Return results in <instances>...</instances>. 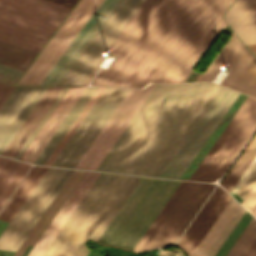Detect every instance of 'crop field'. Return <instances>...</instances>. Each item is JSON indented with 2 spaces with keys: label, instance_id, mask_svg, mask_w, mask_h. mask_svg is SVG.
<instances>
[{
  "label": "crop field",
  "instance_id": "crop-field-31",
  "mask_svg": "<svg viewBox=\"0 0 256 256\" xmlns=\"http://www.w3.org/2000/svg\"><path fill=\"white\" fill-rule=\"evenodd\" d=\"M255 237H256V220L253 218V220L250 222V224L245 229L243 234L240 236L238 241L236 240L237 242L235 243L233 248L231 247L232 249L231 251L229 250L230 252L228 253L227 256H243V254L248 249V247L250 246L252 241L255 239Z\"/></svg>",
  "mask_w": 256,
  "mask_h": 256
},
{
  "label": "crop field",
  "instance_id": "crop-field-8",
  "mask_svg": "<svg viewBox=\"0 0 256 256\" xmlns=\"http://www.w3.org/2000/svg\"><path fill=\"white\" fill-rule=\"evenodd\" d=\"M102 0H79L16 84L39 85Z\"/></svg>",
  "mask_w": 256,
  "mask_h": 256
},
{
  "label": "crop field",
  "instance_id": "crop-field-4",
  "mask_svg": "<svg viewBox=\"0 0 256 256\" xmlns=\"http://www.w3.org/2000/svg\"><path fill=\"white\" fill-rule=\"evenodd\" d=\"M179 183L142 177L97 243L132 251Z\"/></svg>",
  "mask_w": 256,
  "mask_h": 256
},
{
  "label": "crop field",
  "instance_id": "crop-field-27",
  "mask_svg": "<svg viewBox=\"0 0 256 256\" xmlns=\"http://www.w3.org/2000/svg\"><path fill=\"white\" fill-rule=\"evenodd\" d=\"M35 55L36 53L0 42L1 63L25 70Z\"/></svg>",
  "mask_w": 256,
  "mask_h": 256
},
{
  "label": "crop field",
  "instance_id": "crop-field-21",
  "mask_svg": "<svg viewBox=\"0 0 256 256\" xmlns=\"http://www.w3.org/2000/svg\"><path fill=\"white\" fill-rule=\"evenodd\" d=\"M224 19L244 44L256 43V0H235Z\"/></svg>",
  "mask_w": 256,
  "mask_h": 256
},
{
  "label": "crop field",
  "instance_id": "crop-field-36",
  "mask_svg": "<svg viewBox=\"0 0 256 256\" xmlns=\"http://www.w3.org/2000/svg\"><path fill=\"white\" fill-rule=\"evenodd\" d=\"M187 184V182L185 181H181V183L178 185V187L176 188V190L174 191V193L171 195V197L169 198V200L167 201V203L164 205V207L162 208V210L159 212V214L157 215V217L155 218V220L152 222V224L150 225V227L147 229V231L145 232V234L143 235V237L140 239V241L138 242V244L136 245V247L133 249V251L138 252V250L141 248V246L143 245V243L146 241V239L148 238V236L151 234V232L154 230V228L156 227V225L159 223V221L161 220V218L164 216V214L166 213V211L169 209V207L171 206V204L174 202V200L177 198V196L179 195V193L182 191V189L184 188V186Z\"/></svg>",
  "mask_w": 256,
  "mask_h": 256
},
{
  "label": "crop field",
  "instance_id": "crop-field-10",
  "mask_svg": "<svg viewBox=\"0 0 256 256\" xmlns=\"http://www.w3.org/2000/svg\"><path fill=\"white\" fill-rule=\"evenodd\" d=\"M219 88L201 83L137 174L157 176Z\"/></svg>",
  "mask_w": 256,
  "mask_h": 256
},
{
  "label": "crop field",
  "instance_id": "crop-field-37",
  "mask_svg": "<svg viewBox=\"0 0 256 256\" xmlns=\"http://www.w3.org/2000/svg\"><path fill=\"white\" fill-rule=\"evenodd\" d=\"M99 175L98 172H95V174L92 176V178L90 179V181L88 182V184L85 186V188L83 189V191L80 193V195L78 196V198L76 199V201L73 203V205L71 206V208L68 210V212L66 213V215L64 216V218L61 220V222L59 223V225L56 227V229L54 230V232L51 234V236L49 237V239L47 240V242L44 244V246L42 247V249L39 251V253L37 254V256H41L42 253L45 251V249L47 248V246L50 244V242L52 241V239L54 238V236L57 234V232L59 231V229L62 227V225L64 224V222L67 220V218L69 217V215L72 213V211L74 210V208L77 206V204L79 203V201L82 199V197L84 196V194L86 193V191L89 189V187L91 186V184L94 182V180L96 179V177Z\"/></svg>",
  "mask_w": 256,
  "mask_h": 256
},
{
  "label": "crop field",
  "instance_id": "crop-field-33",
  "mask_svg": "<svg viewBox=\"0 0 256 256\" xmlns=\"http://www.w3.org/2000/svg\"><path fill=\"white\" fill-rule=\"evenodd\" d=\"M31 165L21 162L9 181L0 192V209L5 204L9 196L12 194L16 186L19 184L25 173Z\"/></svg>",
  "mask_w": 256,
  "mask_h": 256
},
{
  "label": "crop field",
  "instance_id": "crop-field-15",
  "mask_svg": "<svg viewBox=\"0 0 256 256\" xmlns=\"http://www.w3.org/2000/svg\"><path fill=\"white\" fill-rule=\"evenodd\" d=\"M66 169L48 167L0 236V249L10 250Z\"/></svg>",
  "mask_w": 256,
  "mask_h": 256
},
{
  "label": "crop field",
  "instance_id": "crop-field-23",
  "mask_svg": "<svg viewBox=\"0 0 256 256\" xmlns=\"http://www.w3.org/2000/svg\"><path fill=\"white\" fill-rule=\"evenodd\" d=\"M96 89L97 87H86V89L83 91L79 99L76 101L72 109L69 111L65 119L62 121L34 163L44 164V162L47 160L51 152L54 150L56 145L59 143L63 135L66 133L70 125L73 123L75 118L78 116Z\"/></svg>",
  "mask_w": 256,
  "mask_h": 256
},
{
  "label": "crop field",
  "instance_id": "crop-field-1",
  "mask_svg": "<svg viewBox=\"0 0 256 256\" xmlns=\"http://www.w3.org/2000/svg\"><path fill=\"white\" fill-rule=\"evenodd\" d=\"M173 0H122L58 85H87L108 52L117 57L91 84L110 85ZM193 0H174L110 86L128 87Z\"/></svg>",
  "mask_w": 256,
  "mask_h": 256
},
{
  "label": "crop field",
  "instance_id": "crop-field-9",
  "mask_svg": "<svg viewBox=\"0 0 256 256\" xmlns=\"http://www.w3.org/2000/svg\"><path fill=\"white\" fill-rule=\"evenodd\" d=\"M234 0H210L149 82L172 83Z\"/></svg>",
  "mask_w": 256,
  "mask_h": 256
},
{
  "label": "crop field",
  "instance_id": "crop-field-2",
  "mask_svg": "<svg viewBox=\"0 0 256 256\" xmlns=\"http://www.w3.org/2000/svg\"><path fill=\"white\" fill-rule=\"evenodd\" d=\"M199 85L156 84L96 170L136 174Z\"/></svg>",
  "mask_w": 256,
  "mask_h": 256
},
{
  "label": "crop field",
  "instance_id": "crop-field-13",
  "mask_svg": "<svg viewBox=\"0 0 256 256\" xmlns=\"http://www.w3.org/2000/svg\"><path fill=\"white\" fill-rule=\"evenodd\" d=\"M154 86L130 89L75 168L95 170Z\"/></svg>",
  "mask_w": 256,
  "mask_h": 256
},
{
  "label": "crop field",
  "instance_id": "crop-field-20",
  "mask_svg": "<svg viewBox=\"0 0 256 256\" xmlns=\"http://www.w3.org/2000/svg\"><path fill=\"white\" fill-rule=\"evenodd\" d=\"M237 203L231 198L190 256H213L216 253L245 211Z\"/></svg>",
  "mask_w": 256,
  "mask_h": 256
},
{
  "label": "crop field",
  "instance_id": "crop-field-17",
  "mask_svg": "<svg viewBox=\"0 0 256 256\" xmlns=\"http://www.w3.org/2000/svg\"><path fill=\"white\" fill-rule=\"evenodd\" d=\"M208 1L209 0H194V2L181 17L172 31L168 34L159 48L155 51L129 87H143L149 81Z\"/></svg>",
  "mask_w": 256,
  "mask_h": 256
},
{
  "label": "crop field",
  "instance_id": "crop-field-24",
  "mask_svg": "<svg viewBox=\"0 0 256 256\" xmlns=\"http://www.w3.org/2000/svg\"><path fill=\"white\" fill-rule=\"evenodd\" d=\"M46 169L47 167L32 166L21 184L18 186L14 194L0 212L1 220L10 222Z\"/></svg>",
  "mask_w": 256,
  "mask_h": 256
},
{
  "label": "crop field",
  "instance_id": "crop-field-32",
  "mask_svg": "<svg viewBox=\"0 0 256 256\" xmlns=\"http://www.w3.org/2000/svg\"><path fill=\"white\" fill-rule=\"evenodd\" d=\"M72 173V171L67 170V172L64 174V176L62 177V179L59 181V183L57 184V186L54 188V190L52 191V193L49 195V197L47 198V200L44 202V204L42 205V207L39 209V211L36 213V215L34 216V218L31 220V222L29 223V225L26 227V229L24 230V232L21 234V236L19 237V239L16 241V243L14 244V246L11 248V250H17V248L20 246V244L22 243V241L25 239V237L27 236V234L30 232V230L32 229V227L35 225V223L37 222V220L40 218V216L42 215V213L44 212V210L47 208V206L49 205V203L52 201V199L54 198V196L57 194V192L59 191V189L62 187V185L64 184V182L67 180V178L69 177V175Z\"/></svg>",
  "mask_w": 256,
  "mask_h": 256
},
{
  "label": "crop field",
  "instance_id": "crop-field-43",
  "mask_svg": "<svg viewBox=\"0 0 256 256\" xmlns=\"http://www.w3.org/2000/svg\"><path fill=\"white\" fill-rule=\"evenodd\" d=\"M14 88L15 86H10V85L0 83V107L2 106V104L7 99V97L10 95V93Z\"/></svg>",
  "mask_w": 256,
  "mask_h": 256
},
{
  "label": "crop field",
  "instance_id": "crop-field-28",
  "mask_svg": "<svg viewBox=\"0 0 256 256\" xmlns=\"http://www.w3.org/2000/svg\"><path fill=\"white\" fill-rule=\"evenodd\" d=\"M84 89H85V87H76V89L74 90L72 95L69 97V99L67 100L65 105L62 107V109L60 110V112L58 113L56 118L53 120V122L51 123L49 128L46 130V132L44 133V135L42 136L40 141L37 143V145L31 152V154L26 159L27 162H31V163L33 162V160L36 158L38 153L41 151L43 146L46 144V142L48 141L50 136L53 134L55 129L58 127L60 122L63 120L65 115L68 113V111L73 106V104L75 103V101L77 100V98L80 96V94L82 93V91Z\"/></svg>",
  "mask_w": 256,
  "mask_h": 256
},
{
  "label": "crop field",
  "instance_id": "crop-field-34",
  "mask_svg": "<svg viewBox=\"0 0 256 256\" xmlns=\"http://www.w3.org/2000/svg\"><path fill=\"white\" fill-rule=\"evenodd\" d=\"M104 90V88L102 87H98V89L96 90V92L93 94V96L91 97V99L89 100V102L86 104V106L84 107V109L82 110V112L80 113V115L77 117V119L75 120V122L73 123V125L70 127V129L68 130V132L66 133V135L63 137V139L61 140V142L59 143V145L57 146V148L54 150V152L52 153V155L50 156V158L47 160V162L45 163V165H50V163L53 161V159L55 158V156L58 154V152L60 151V149L63 147V145L66 143V141L68 140V138L71 136V134L73 133V131L76 129V127L78 126V124L81 122V120L83 119V117L86 115V113L88 112V110L91 108V106L94 104V102L96 101V99L99 97V95L101 94V92Z\"/></svg>",
  "mask_w": 256,
  "mask_h": 256
},
{
  "label": "crop field",
  "instance_id": "crop-field-46",
  "mask_svg": "<svg viewBox=\"0 0 256 256\" xmlns=\"http://www.w3.org/2000/svg\"><path fill=\"white\" fill-rule=\"evenodd\" d=\"M52 1H55V2H58V3H62V4H65V5L73 7V5L75 4V2L77 0H52Z\"/></svg>",
  "mask_w": 256,
  "mask_h": 256
},
{
  "label": "crop field",
  "instance_id": "crop-field-11",
  "mask_svg": "<svg viewBox=\"0 0 256 256\" xmlns=\"http://www.w3.org/2000/svg\"><path fill=\"white\" fill-rule=\"evenodd\" d=\"M128 91L105 88L52 165L74 167Z\"/></svg>",
  "mask_w": 256,
  "mask_h": 256
},
{
  "label": "crop field",
  "instance_id": "crop-field-44",
  "mask_svg": "<svg viewBox=\"0 0 256 256\" xmlns=\"http://www.w3.org/2000/svg\"><path fill=\"white\" fill-rule=\"evenodd\" d=\"M256 164V157L253 159V161L251 162V164L248 166V168L246 169V171L243 173V175L241 176V178L239 179V181L236 183V185L234 186V188L231 190V195L233 196V194L236 192V190L238 189V187L241 185V183L243 182V180L246 178V176L248 175V173L251 171V169L253 168V166Z\"/></svg>",
  "mask_w": 256,
  "mask_h": 256
},
{
  "label": "crop field",
  "instance_id": "crop-field-26",
  "mask_svg": "<svg viewBox=\"0 0 256 256\" xmlns=\"http://www.w3.org/2000/svg\"><path fill=\"white\" fill-rule=\"evenodd\" d=\"M255 154H256V135L251 140L249 145L243 151L241 156L238 158L236 163L233 165V167L230 169V171L227 173V175L224 177V179L221 181L220 184L230 192V190L232 189L234 184L237 182V180L239 179V177L241 176L245 168L248 166V164L250 163V161L252 160Z\"/></svg>",
  "mask_w": 256,
  "mask_h": 256
},
{
  "label": "crop field",
  "instance_id": "crop-field-5",
  "mask_svg": "<svg viewBox=\"0 0 256 256\" xmlns=\"http://www.w3.org/2000/svg\"><path fill=\"white\" fill-rule=\"evenodd\" d=\"M70 9L49 0H0V41L38 53Z\"/></svg>",
  "mask_w": 256,
  "mask_h": 256
},
{
  "label": "crop field",
  "instance_id": "crop-field-39",
  "mask_svg": "<svg viewBox=\"0 0 256 256\" xmlns=\"http://www.w3.org/2000/svg\"><path fill=\"white\" fill-rule=\"evenodd\" d=\"M23 70L0 63V81L14 84Z\"/></svg>",
  "mask_w": 256,
  "mask_h": 256
},
{
  "label": "crop field",
  "instance_id": "crop-field-12",
  "mask_svg": "<svg viewBox=\"0 0 256 256\" xmlns=\"http://www.w3.org/2000/svg\"><path fill=\"white\" fill-rule=\"evenodd\" d=\"M213 187L188 182L139 252L173 244Z\"/></svg>",
  "mask_w": 256,
  "mask_h": 256
},
{
  "label": "crop field",
  "instance_id": "crop-field-47",
  "mask_svg": "<svg viewBox=\"0 0 256 256\" xmlns=\"http://www.w3.org/2000/svg\"><path fill=\"white\" fill-rule=\"evenodd\" d=\"M248 48L252 51V53L256 56V45H249Z\"/></svg>",
  "mask_w": 256,
  "mask_h": 256
},
{
  "label": "crop field",
  "instance_id": "crop-field-35",
  "mask_svg": "<svg viewBox=\"0 0 256 256\" xmlns=\"http://www.w3.org/2000/svg\"><path fill=\"white\" fill-rule=\"evenodd\" d=\"M75 89V87H69V89L67 90V92L65 93V95L62 97V99L60 100V102L57 104V106L55 107V109L53 110V112L50 114V116L48 117V119L46 120V122L43 124V126L41 127V129L39 130V132L36 134V136L34 137V139L32 140V142L29 144V146L27 147V149L25 150V152L22 154V156L20 157V160L25 161V159L27 158V156L30 154V152L32 151V149L34 148V146L36 145V143L39 141V139L41 138V136L43 135V133L45 132V130L48 128V126L50 125V123L52 122V120L55 118V116L57 115V113L59 112V110L61 109V107L64 105V103L66 102V100L68 99V97L70 96V94L73 92V90ZM72 95V94H71Z\"/></svg>",
  "mask_w": 256,
  "mask_h": 256
},
{
  "label": "crop field",
  "instance_id": "crop-field-25",
  "mask_svg": "<svg viewBox=\"0 0 256 256\" xmlns=\"http://www.w3.org/2000/svg\"><path fill=\"white\" fill-rule=\"evenodd\" d=\"M93 174H94V172L86 171V173L83 175V177L81 178L79 183L76 185V187L74 188L72 193L69 195V197L67 198L65 203L62 205V207L60 208L58 213L55 215L53 220L50 222V224L48 225L46 230L43 232V234L41 235V237L36 242V244L34 245V247L32 248V250L29 252V254L27 256H36L38 251L41 249L43 244L46 242V240L48 239L50 234L53 232L55 227L58 225V223L60 222L62 217L65 215L67 210L70 208L72 203L75 201V199L77 198V196L82 191V189L87 184V182L89 181V179L91 178V176Z\"/></svg>",
  "mask_w": 256,
  "mask_h": 256
},
{
  "label": "crop field",
  "instance_id": "crop-field-19",
  "mask_svg": "<svg viewBox=\"0 0 256 256\" xmlns=\"http://www.w3.org/2000/svg\"><path fill=\"white\" fill-rule=\"evenodd\" d=\"M230 198L220 186H217L177 243L188 256L192 253Z\"/></svg>",
  "mask_w": 256,
  "mask_h": 256
},
{
  "label": "crop field",
  "instance_id": "crop-field-29",
  "mask_svg": "<svg viewBox=\"0 0 256 256\" xmlns=\"http://www.w3.org/2000/svg\"><path fill=\"white\" fill-rule=\"evenodd\" d=\"M230 88L256 97V59L254 56L245 66L241 74L232 83Z\"/></svg>",
  "mask_w": 256,
  "mask_h": 256
},
{
  "label": "crop field",
  "instance_id": "crop-field-3",
  "mask_svg": "<svg viewBox=\"0 0 256 256\" xmlns=\"http://www.w3.org/2000/svg\"><path fill=\"white\" fill-rule=\"evenodd\" d=\"M140 179L100 173L42 256H86Z\"/></svg>",
  "mask_w": 256,
  "mask_h": 256
},
{
  "label": "crop field",
  "instance_id": "crop-field-42",
  "mask_svg": "<svg viewBox=\"0 0 256 256\" xmlns=\"http://www.w3.org/2000/svg\"><path fill=\"white\" fill-rule=\"evenodd\" d=\"M256 181V166L251 171L247 179L244 181L240 189L237 191V195L243 200V198L246 196L250 188L253 186V184Z\"/></svg>",
  "mask_w": 256,
  "mask_h": 256
},
{
  "label": "crop field",
  "instance_id": "crop-field-22",
  "mask_svg": "<svg viewBox=\"0 0 256 256\" xmlns=\"http://www.w3.org/2000/svg\"><path fill=\"white\" fill-rule=\"evenodd\" d=\"M62 89L63 87H49L6 150L3 152V156L11 158L15 157Z\"/></svg>",
  "mask_w": 256,
  "mask_h": 256
},
{
  "label": "crop field",
  "instance_id": "crop-field-30",
  "mask_svg": "<svg viewBox=\"0 0 256 256\" xmlns=\"http://www.w3.org/2000/svg\"><path fill=\"white\" fill-rule=\"evenodd\" d=\"M225 25H226L225 22L221 18L220 21L217 23V25L214 27V29L211 31V33L208 35V37L205 39V41L202 43L199 49L195 52V54L192 56V58L189 60V62L186 64V66L183 68V70L180 72V74L177 76V78L174 80L173 83L184 81V79L187 77V75L190 73V71L193 69V67L202 57V55L206 52V50L209 48V46L212 44V42L215 40V38L218 36V34L221 32V30L224 28Z\"/></svg>",
  "mask_w": 256,
  "mask_h": 256
},
{
  "label": "crop field",
  "instance_id": "crop-field-40",
  "mask_svg": "<svg viewBox=\"0 0 256 256\" xmlns=\"http://www.w3.org/2000/svg\"><path fill=\"white\" fill-rule=\"evenodd\" d=\"M68 89V87H64V89L61 91V93L59 94V96L57 97V99L54 101V103L52 104V106L50 107V109L47 111V113L45 114V116L43 117V119L40 121V123L38 124V126L36 127V129L33 131V133L31 134V136L29 137V139L26 141V143L24 144V146L22 147V149L19 151V153L17 154V156L15 157L16 159H19V157L21 156V154L24 152V150L26 149V147L28 146V144L31 142V140L33 139V137L35 136V134L38 132V130L40 129V127L42 126V124L45 122V120L47 119V117L49 116V114L52 112V110L54 109V107L56 106V104L59 102V100L61 99V97L63 96V94L66 92V90ZM65 95V94H64Z\"/></svg>",
  "mask_w": 256,
  "mask_h": 256
},
{
  "label": "crop field",
  "instance_id": "crop-field-41",
  "mask_svg": "<svg viewBox=\"0 0 256 256\" xmlns=\"http://www.w3.org/2000/svg\"><path fill=\"white\" fill-rule=\"evenodd\" d=\"M241 204L256 217V183Z\"/></svg>",
  "mask_w": 256,
  "mask_h": 256
},
{
  "label": "crop field",
  "instance_id": "crop-field-7",
  "mask_svg": "<svg viewBox=\"0 0 256 256\" xmlns=\"http://www.w3.org/2000/svg\"><path fill=\"white\" fill-rule=\"evenodd\" d=\"M238 95L221 86L158 176L179 179Z\"/></svg>",
  "mask_w": 256,
  "mask_h": 256
},
{
  "label": "crop field",
  "instance_id": "crop-field-18",
  "mask_svg": "<svg viewBox=\"0 0 256 256\" xmlns=\"http://www.w3.org/2000/svg\"><path fill=\"white\" fill-rule=\"evenodd\" d=\"M251 55L233 32L197 81H211L222 66H227L230 70L221 85L229 87L250 60Z\"/></svg>",
  "mask_w": 256,
  "mask_h": 256
},
{
  "label": "crop field",
  "instance_id": "crop-field-14",
  "mask_svg": "<svg viewBox=\"0 0 256 256\" xmlns=\"http://www.w3.org/2000/svg\"><path fill=\"white\" fill-rule=\"evenodd\" d=\"M48 87L16 86L0 108V154Z\"/></svg>",
  "mask_w": 256,
  "mask_h": 256
},
{
  "label": "crop field",
  "instance_id": "crop-field-6",
  "mask_svg": "<svg viewBox=\"0 0 256 256\" xmlns=\"http://www.w3.org/2000/svg\"><path fill=\"white\" fill-rule=\"evenodd\" d=\"M256 128V99L248 96L190 180L214 181L223 175Z\"/></svg>",
  "mask_w": 256,
  "mask_h": 256
},
{
  "label": "crop field",
  "instance_id": "crop-field-16",
  "mask_svg": "<svg viewBox=\"0 0 256 256\" xmlns=\"http://www.w3.org/2000/svg\"><path fill=\"white\" fill-rule=\"evenodd\" d=\"M121 0H103L40 85H57Z\"/></svg>",
  "mask_w": 256,
  "mask_h": 256
},
{
  "label": "crop field",
  "instance_id": "crop-field-38",
  "mask_svg": "<svg viewBox=\"0 0 256 256\" xmlns=\"http://www.w3.org/2000/svg\"><path fill=\"white\" fill-rule=\"evenodd\" d=\"M19 164L20 161L0 156V190L3 188Z\"/></svg>",
  "mask_w": 256,
  "mask_h": 256
},
{
  "label": "crop field",
  "instance_id": "crop-field-45",
  "mask_svg": "<svg viewBox=\"0 0 256 256\" xmlns=\"http://www.w3.org/2000/svg\"><path fill=\"white\" fill-rule=\"evenodd\" d=\"M244 256H256V239H255L254 242L251 244V246L249 247V249L246 251V253L244 254Z\"/></svg>",
  "mask_w": 256,
  "mask_h": 256
}]
</instances>
